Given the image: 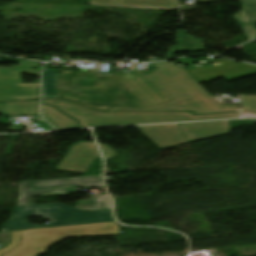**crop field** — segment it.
I'll use <instances>...</instances> for the list:
<instances>
[{"label": "crop field", "mask_w": 256, "mask_h": 256, "mask_svg": "<svg viewBox=\"0 0 256 256\" xmlns=\"http://www.w3.org/2000/svg\"><path fill=\"white\" fill-rule=\"evenodd\" d=\"M157 69L147 77L171 100L145 109L113 108L114 110H193L195 114L216 113L214 99L183 68L174 63H152Z\"/></svg>", "instance_id": "8a807250"}, {"label": "crop field", "mask_w": 256, "mask_h": 256, "mask_svg": "<svg viewBox=\"0 0 256 256\" xmlns=\"http://www.w3.org/2000/svg\"><path fill=\"white\" fill-rule=\"evenodd\" d=\"M57 90L58 98L71 100L94 110L145 107L119 80L74 79L73 70L58 72Z\"/></svg>", "instance_id": "ac0d7876"}, {"label": "crop field", "mask_w": 256, "mask_h": 256, "mask_svg": "<svg viewBox=\"0 0 256 256\" xmlns=\"http://www.w3.org/2000/svg\"><path fill=\"white\" fill-rule=\"evenodd\" d=\"M43 103L57 107L66 115L79 121L81 128L160 122H179L217 119L216 115L192 116V112H123L104 113L92 111L57 99L43 100Z\"/></svg>", "instance_id": "34b2d1b8"}, {"label": "crop field", "mask_w": 256, "mask_h": 256, "mask_svg": "<svg viewBox=\"0 0 256 256\" xmlns=\"http://www.w3.org/2000/svg\"><path fill=\"white\" fill-rule=\"evenodd\" d=\"M29 216H39L50 220V222L46 225L33 226L27 222V217ZM110 221H115L112 217L111 209L81 211L61 203L23 205L14 207L11 218L3 226V231Z\"/></svg>", "instance_id": "412701ff"}, {"label": "crop field", "mask_w": 256, "mask_h": 256, "mask_svg": "<svg viewBox=\"0 0 256 256\" xmlns=\"http://www.w3.org/2000/svg\"><path fill=\"white\" fill-rule=\"evenodd\" d=\"M116 222L23 231L20 246L3 256H35L66 237L118 235Z\"/></svg>", "instance_id": "f4fd0767"}, {"label": "crop field", "mask_w": 256, "mask_h": 256, "mask_svg": "<svg viewBox=\"0 0 256 256\" xmlns=\"http://www.w3.org/2000/svg\"><path fill=\"white\" fill-rule=\"evenodd\" d=\"M76 185L104 188L102 175L24 181L20 182L21 200L18 205L34 204L32 197L35 196L76 192Z\"/></svg>", "instance_id": "dd49c442"}, {"label": "crop field", "mask_w": 256, "mask_h": 256, "mask_svg": "<svg viewBox=\"0 0 256 256\" xmlns=\"http://www.w3.org/2000/svg\"><path fill=\"white\" fill-rule=\"evenodd\" d=\"M39 62L23 60L17 69H0V101L26 100L40 97V84H22L21 74L39 76L40 71L31 69Z\"/></svg>", "instance_id": "e52e79f7"}, {"label": "crop field", "mask_w": 256, "mask_h": 256, "mask_svg": "<svg viewBox=\"0 0 256 256\" xmlns=\"http://www.w3.org/2000/svg\"><path fill=\"white\" fill-rule=\"evenodd\" d=\"M200 59L213 61L210 58H200ZM194 61L195 60L185 58V59H178L177 62L192 64ZM213 62L214 63L221 62L222 65L212 67V68H209V67L197 68V69L189 70L188 72L199 83L220 78V77L230 82V81H234L237 79H241V78L256 74V66L254 65H248L243 63L236 64L234 62H231L225 59H221Z\"/></svg>", "instance_id": "d8731c3e"}, {"label": "crop field", "mask_w": 256, "mask_h": 256, "mask_svg": "<svg viewBox=\"0 0 256 256\" xmlns=\"http://www.w3.org/2000/svg\"><path fill=\"white\" fill-rule=\"evenodd\" d=\"M146 107L169 100L142 72L139 70L116 76Z\"/></svg>", "instance_id": "5a996713"}, {"label": "crop field", "mask_w": 256, "mask_h": 256, "mask_svg": "<svg viewBox=\"0 0 256 256\" xmlns=\"http://www.w3.org/2000/svg\"><path fill=\"white\" fill-rule=\"evenodd\" d=\"M98 157L94 143L81 142L71 148L57 169L85 173Z\"/></svg>", "instance_id": "3316defc"}, {"label": "crop field", "mask_w": 256, "mask_h": 256, "mask_svg": "<svg viewBox=\"0 0 256 256\" xmlns=\"http://www.w3.org/2000/svg\"><path fill=\"white\" fill-rule=\"evenodd\" d=\"M138 128L161 148L188 142L178 124L148 125Z\"/></svg>", "instance_id": "28ad6ade"}, {"label": "crop field", "mask_w": 256, "mask_h": 256, "mask_svg": "<svg viewBox=\"0 0 256 256\" xmlns=\"http://www.w3.org/2000/svg\"><path fill=\"white\" fill-rule=\"evenodd\" d=\"M189 142L228 134V121L179 124Z\"/></svg>", "instance_id": "d1516ede"}, {"label": "crop field", "mask_w": 256, "mask_h": 256, "mask_svg": "<svg viewBox=\"0 0 256 256\" xmlns=\"http://www.w3.org/2000/svg\"><path fill=\"white\" fill-rule=\"evenodd\" d=\"M114 2L115 0H91V5L163 10L177 7L175 0H118L117 4Z\"/></svg>", "instance_id": "22f410ed"}, {"label": "crop field", "mask_w": 256, "mask_h": 256, "mask_svg": "<svg viewBox=\"0 0 256 256\" xmlns=\"http://www.w3.org/2000/svg\"><path fill=\"white\" fill-rule=\"evenodd\" d=\"M243 9L233 15L244 30L246 36L252 40L256 38V0H239Z\"/></svg>", "instance_id": "cbeb9de0"}, {"label": "crop field", "mask_w": 256, "mask_h": 256, "mask_svg": "<svg viewBox=\"0 0 256 256\" xmlns=\"http://www.w3.org/2000/svg\"><path fill=\"white\" fill-rule=\"evenodd\" d=\"M42 115L56 129L80 128L78 121L61 113L57 108L42 104Z\"/></svg>", "instance_id": "5142ce71"}, {"label": "crop field", "mask_w": 256, "mask_h": 256, "mask_svg": "<svg viewBox=\"0 0 256 256\" xmlns=\"http://www.w3.org/2000/svg\"><path fill=\"white\" fill-rule=\"evenodd\" d=\"M201 50H204L203 39H194V36H189L188 30L178 31V46L171 47L166 59H172L174 52Z\"/></svg>", "instance_id": "d9b57169"}, {"label": "crop field", "mask_w": 256, "mask_h": 256, "mask_svg": "<svg viewBox=\"0 0 256 256\" xmlns=\"http://www.w3.org/2000/svg\"><path fill=\"white\" fill-rule=\"evenodd\" d=\"M39 100L3 103L2 115H38Z\"/></svg>", "instance_id": "733c2abd"}, {"label": "crop field", "mask_w": 256, "mask_h": 256, "mask_svg": "<svg viewBox=\"0 0 256 256\" xmlns=\"http://www.w3.org/2000/svg\"><path fill=\"white\" fill-rule=\"evenodd\" d=\"M82 210L111 208L108 195L91 196L89 200L79 201L75 206Z\"/></svg>", "instance_id": "4a817a6b"}, {"label": "crop field", "mask_w": 256, "mask_h": 256, "mask_svg": "<svg viewBox=\"0 0 256 256\" xmlns=\"http://www.w3.org/2000/svg\"><path fill=\"white\" fill-rule=\"evenodd\" d=\"M56 75H57V72L44 70L43 72L44 97H47V98L57 97Z\"/></svg>", "instance_id": "bc2a9ffb"}, {"label": "crop field", "mask_w": 256, "mask_h": 256, "mask_svg": "<svg viewBox=\"0 0 256 256\" xmlns=\"http://www.w3.org/2000/svg\"><path fill=\"white\" fill-rule=\"evenodd\" d=\"M241 98H242V111L256 112V96L241 95Z\"/></svg>", "instance_id": "214f88e0"}, {"label": "crop field", "mask_w": 256, "mask_h": 256, "mask_svg": "<svg viewBox=\"0 0 256 256\" xmlns=\"http://www.w3.org/2000/svg\"><path fill=\"white\" fill-rule=\"evenodd\" d=\"M11 233H12L13 241L5 249L0 250V256H2L3 254H5L8 251H11L20 242L22 231H15V232H11Z\"/></svg>", "instance_id": "92a150f3"}, {"label": "crop field", "mask_w": 256, "mask_h": 256, "mask_svg": "<svg viewBox=\"0 0 256 256\" xmlns=\"http://www.w3.org/2000/svg\"><path fill=\"white\" fill-rule=\"evenodd\" d=\"M100 147H101V150H102L106 159L117 155L115 150H113L112 148H110L106 145H101L100 144Z\"/></svg>", "instance_id": "dafd665d"}, {"label": "crop field", "mask_w": 256, "mask_h": 256, "mask_svg": "<svg viewBox=\"0 0 256 256\" xmlns=\"http://www.w3.org/2000/svg\"><path fill=\"white\" fill-rule=\"evenodd\" d=\"M217 117H218V119L239 118L240 114H239V112L231 113V114H220V115H217Z\"/></svg>", "instance_id": "00972430"}, {"label": "crop field", "mask_w": 256, "mask_h": 256, "mask_svg": "<svg viewBox=\"0 0 256 256\" xmlns=\"http://www.w3.org/2000/svg\"><path fill=\"white\" fill-rule=\"evenodd\" d=\"M202 3H206V2H212V1H217V0H200Z\"/></svg>", "instance_id": "a9b5d70f"}, {"label": "crop field", "mask_w": 256, "mask_h": 256, "mask_svg": "<svg viewBox=\"0 0 256 256\" xmlns=\"http://www.w3.org/2000/svg\"><path fill=\"white\" fill-rule=\"evenodd\" d=\"M251 121H252L253 123H256V119H251Z\"/></svg>", "instance_id": "4177f3b9"}, {"label": "crop field", "mask_w": 256, "mask_h": 256, "mask_svg": "<svg viewBox=\"0 0 256 256\" xmlns=\"http://www.w3.org/2000/svg\"><path fill=\"white\" fill-rule=\"evenodd\" d=\"M2 104H0V113H1Z\"/></svg>", "instance_id": "730fd06b"}, {"label": "crop field", "mask_w": 256, "mask_h": 256, "mask_svg": "<svg viewBox=\"0 0 256 256\" xmlns=\"http://www.w3.org/2000/svg\"><path fill=\"white\" fill-rule=\"evenodd\" d=\"M10 68H16V67H10Z\"/></svg>", "instance_id": "eef30255"}]
</instances>
